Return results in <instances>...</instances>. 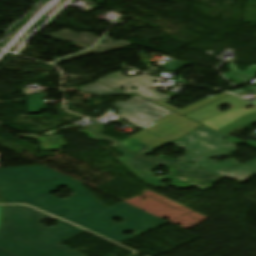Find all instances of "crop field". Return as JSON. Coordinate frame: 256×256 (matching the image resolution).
<instances>
[{
	"instance_id": "1",
	"label": "crop field",
	"mask_w": 256,
	"mask_h": 256,
	"mask_svg": "<svg viewBox=\"0 0 256 256\" xmlns=\"http://www.w3.org/2000/svg\"><path fill=\"white\" fill-rule=\"evenodd\" d=\"M59 186H65L75 194L66 200L48 194ZM0 192L4 203L31 204L117 242L151 229L107 209V206L82 187V183L67 177L2 186ZM115 217L123 222H112L111 219ZM126 231H131V235L125 237L121 234Z\"/></svg>"
},
{
	"instance_id": "2",
	"label": "crop field",
	"mask_w": 256,
	"mask_h": 256,
	"mask_svg": "<svg viewBox=\"0 0 256 256\" xmlns=\"http://www.w3.org/2000/svg\"><path fill=\"white\" fill-rule=\"evenodd\" d=\"M45 219L58 224L48 228ZM85 232L28 206H5L0 248L17 256H86L59 244Z\"/></svg>"
},
{
	"instance_id": "3",
	"label": "crop field",
	"mask_w": 256,
	"mask_h": 256,
	"mask_svg": "<svg viewBox=\"0 0 256 256\" xmlns=\"http://www.w3.org/2000/svg\"><path fill=\"white\" fill-rule=\"evenodd\" d=\"M225 136L207 127H203L191 134L174 142L180 149L187 154L180 160L195 161L194 165L202 167L214 174L231 168L239 162L231 159L223 164H218L210 160L211 157L228 156L235 152V145L222 140ZM256 174V161L232 168L219 176L245 181Z\"/></svg>"
},
{
	"instance_id": "4",
	"label": "crop field",
	"mask_w": 256,
	"mask_h": 256,
	"mask_svg": "<svg viewBox=\"0 0 256 256\" xmlns=\"http://www.w3.org/2000/svg\"><path fill=\"white\" fill-rule=\"evenodd\" d=\"M112 148L116 149V152L123 155L121 157H118L119 160H121L128 168H130L137 176L143 179L146 183L154 185L155 188L165 186L160 183L162 180H171L170 185L175 188L186 189L191 186H194L203 191L211 187L213 183L221 179L202 169L188 172L158 158L143 157L140 155H136L117 145L113 146ZM158 165L167 168L170 174L155 177L151 171ZM181 177H186L188 178V180L184 182L180 180ZM192 182L197 183V185H192Z\"/></svg>"
},
{
	"instance_id": "5",
	"label": "crop field",
	"mask_w": 256,
	"mask_h": 256,
	"mask_svg": "<svg viewBox=\"0 0 256 256\" xmlns=\"http://www.w3.org/2000/svg\"><path fill=\"white\" fill-rule=\"evenodd\" d=\"M226 103L232 105L233 109L223 113L219 112L217 107ZM250 105L247 102L229 96L186 116L229 136L231 130L238 126L256 123V107L249 110L245 109Z\"/></svg>"
},
{
	"instance_id": "6",
	"label": "crop field",
	"mask_w": 256,
	"mask_h": 256,
	"mask_svg": "<svg viewBox=\"0 0 256 256\" xmlns=\"http://www.w3.org/2000/svg\"><path fill=\"white\" fill-rule=\"evenodd\" d=\"M116 106L124 109L120 116L143 129L172 113L138 97L127 102L118 101Z\"/></svg>"
},
{
	"instance_id": "7",
	"label": "crop field",
	"mask_w": 256,
	"mask_h": 256,
	"mask_svg": "<svg viewBox=\"0 0 256 256\" xmlns=\"http://www.w3.org/2000/svg\"><path fill=\"white\" fill-rule=\"evenodd\" d=\"M98 81H100V82H102V83H104V84L124 93V94L135 93V94H137L143 98H146L152 102L160 100V101H163L168 104L169 102H167V101L169 99H171V97H169V96H166L160 92H157L155 90H152V89L146 87L150 84H153L154 80L151 78H148L144 75L128 78V77L122 76L121 72H117V73H112L110 75H107ZM121 86L128 87V89L125 92L117 89ZM132 86H136L138 89L134 91L131 89Z\"/></svg>"
},
{
	"instance_id": "8",
	"label": "crop field",
	"mask_w": 256,
	"mask_h": 256,
	"mask_svg": "<svg viewBox=\"0 0 256 256\" xmlns=\"http://www.w3.org/2000/svg\"><path fill=\"white\" fill-rule=\"evenodd\" d=\"M200 126L202 125L173 113L144 130L174 141Z\"/></svg>"
},
{
	"instance_id": "9",
	"label": "crop field",
	"mask_w": 256,
	"mask_h": 256,
	"mask_svg": "<svg viewBox=\"0 0 256 256\" xmlns=\"http://www.w3.org/2000/svg\"><path fill=\"white\" fill-rule=\"evenodd\" d=\"M62 176L64 175L45 166H25L0 169V186Z\"/></svg>"
},
{
	"instance_id": "10",
	"label": "crop field",
	"mask_w": 256,
	"mask_h": 256,
	"mask_svg": "<svg viewBox=\"0 0 256 256\" xmlns=\"http://www.w3.org/2000/svg\"><path fill=\"white\" fill-rule=\"evenodd\" d=\"M117 213H120L130 219H133L137 222H140L144 225H147L151 228H154L156 226L162 225L164 223H167L155 216H152L140 209H137L125 202H122L118 205H115L111 208H109Z\"/></svg>"
},
{
	"instance_id": "11",
	"label": "crop field",
	"mask_w": 256,
	"mask_h": 256,
	"mask_svg": "<svg viewBox=\"0 0 256 256\" xmlns=\"http://www.w3.org/2000/svg\"><path fill=\"white\" fill-rule=\"evenodd\" d=\"M104 128H105V127H104L103 124L98 123V124H96L95 126L89 128V129H87V130H88V131H91V132H94V133H96V134L102 135V134H100V133L103 132ZM78 132L83 133V134H86V135H88L91 139L96 140V141H99V140H106V141H109V140H107V139H104V138L99 137V136H97V135H94V134H92V133H89V132H87V131H85V130H83V129L79 130ZM102 136L107 137V136H105V135H102ZM107 138H110V137H107ZM110 139H112V138H110ZM112 140H115V139H112ZM115 141H117V140H115ZM110 142H112V141H110ZM117 142H119V144H118L119 146H121V147H123V148H126V149H129V150H131V151L137 152V153H139V154H141V155H145V154H147V153H149V152H151V151H153V150H156V149H154V148H152V147H149V146H147V145H145V144H142V143H140V142H138V141H135V140H133V139H131V138H128V139H126V140H124V141H122V142H120V141H117ZM117 142H116V143H117ZM112 143H114V142H112ZM116 143H114V144H116Z\"/></svg>"
},
{
	"instance_id": "12",
	"label": "crop field",
	"mask_w": 256,
	"mask_h": 256,
	"mask_svg": "<svg viewBox=\"0 0 256 256\" xmlns=\"http://www.w3.org/2000/svg\"><path fill=\"white\" fill-rule=\"evenodd\" d=\"M47 37L74 41V42H78V43H82L90 46H93L100 39L88 32L77 34L69 29H66L51 35H47Z\"/></svg>"
},
{
	"instance_id": "13",
	"label": "crop field",
	"mask_w": 256,
	"mask_h": 256,
	"mask_svg": "<svg viewBox=\"0 0 256 256\" xmlns=\"http://www.w3.org/2000/svg\"><path fill=\"white\" fill-rule=\"evenodd\" d=\"M229 68L232 71L225 74V76L239 83H243L256 75V65L248 67L244 72L238 70L236 64H229Z\"/></svg>"
},
{
	"instance_id": "14",
	"label": "crop field",
	"mask_w": 256,
	"mask_h": 256,
	"mask_svg": "<svg viewBox=\"0 0 256 256\" xmlns=\"http://www.w3.org/2000/svg\"><path fill=\"white\" fill-rule=\"evenodd\" d=\"M131 138H133L135 140H138L142 143H145L149 146H152L156 149L170 143V142H168V141H166V140H164V139H162V138H160L156 135H153L149 132H146L144 130H142V131L136 133L135 135L131 136Z\"/></svg>"
},
{
	"instance_id": "15",
	"label": "crop field",
	"mask_w": 256,
	"mask_h": 256,
	"mask_svg": "<svg viewBox=\"0 0 256 256\" xmlns=\"http://www.w3.org/2000/svg\"><path fill=\"white\" fill-rule=\"evenodd\" d=\"M227 95H229V94L224 93V94H222V95H220V96H218V97L211 96V97H208V98H206V99H204V100H202V101H200V102H198V103H196V104H193V105H191V106H188V107H186V108H183V109H181V110H178V109H176V108H174V107H171V106H169V105H166V104H164V103H162V102H160V101H157V102H155V103H157V104H159V105H161V106H164V107H166V108H168V109H170V110H172V111H175V112H177V113H179V114H181V115H184V114H186V113H188V112H190V111H193V110H195V109H197V108H200V107H202V106H204V105H206V104H209V103H211V102H213V101H216V100H218V99H220V98H222V97H225V96H227Z\"/></svg>"
},
{
	"instance_id": "16",
	"label": "crop field",
	"mask_w": 256,
	"mask_h": 256,
	"mask_svg": "<svg viewBox=\"0 0 256 256\" xmlns=\"http://www.w3.org/2000/svg\"><path fill=\"white\" fill-rule=\"evenodd\" d=\"M17 137L36 138L39 140L42 148H44L46 150H57V149L65 146L64 141L62 139H59L61 136H55V137L17 136Z\"/></svg>"
},
{
	"instance_id": "17",
	"label": "crop field",
	"mask_w": 256,
	"mask_h": 256,
	"mask_svg": "<svg viewBox=\"0 0 256 256\" xmlns=\"http://www.w3.org/2000/svg\"><path fill=\"white\" fill-rule=\"evenodd\" d=\"M44 97H46L45 93L26 99L29 113H37L45 109V103L42 102Z\"/></svg>"
},
{
	"instance_id": "18",
	"label": "crop field",
	"mask_w": 256,
	"mask_h": 256,
	"mask_svg": "<svg viewBox=\"0 0 256 256\" xmlns=\"http://www.w3.org/2000/svg\"><path fill=\"white\" fill-rule=\"evenodd\" d=\"M82 90L87 92L96 93L97 95H120V93L109 89L99 83L91 84L89 86H86L82 88Z\"/></svg>"
},
{
	"instance_id": "19",
	"label": "crop field",
	"mask_w": 256,
	"mask_h": 256,
	"mask_svg": "<svg viewBox=\"0 0 256 256\" xmlns=\"http://www.w3.org/2000/svg\"><path fill=\"white\" fill-rule=\"evenodd\" d=\"M104 39H106L110 43L105 44V45H99L97 47L104 48V49L115 50V49H119V48H122V47L130 45V43L125 41V40L114 41V40H112L111 38H109L107 36Z\"/></svg>"
},
{
	"instance_id": "20",
	"label": "crop field",
	"mask_w": 256,
	"mask_h": 256,
	"mask_svg": "<svg viewBox=\"0 0 256 256\" xmlns=\"http://www.w3.org/2000/svg\"><path fill=\"white\" fill-rule=\"evenodd\" d=\"M158 157H159V158H162V159H164V160L170 161V162H172V163H175V164H177V165H179V166H181V167H183V168H185V169H187V170L196 169L195 166L186 164L184 161H180V160H178V159H173V158H170V157H167V156H163V155H160V156H158Z\"/></svg>"
},
{
	"instance_id": "21",
	"label": "crop field",
	"mask_w": 256,
	"mask_h": 256,
	"mask_svg": "<svg viewBox=\"0 0 256 256\" xmlns=\"http://www.w3.org/2000/svg\"><path fill=\"white\" fill-rule=\"evenodd\" d=\"M107 51H109V50H103V49L94 48V49H92V50H90V51H87V52H84V53H80V54L71 56V57H69V58L63 59V60H64V61H67V60L74 59V58H77V57H80V56H83V55H86V54H90V53H93V52L102 54V53H105V52H107Z\"/></svg>"
},
{
	"instance_id": "22",
	"label": "crop field",
	"mask_w": 256,
	"mask_h": 256,
	"mask_svg": "<svg viewBox=\"0 0 256 256\" xmlns=\"http://www.w3.org/2000/svg\"><path fill=\"white\" fill-rule=\"evenodd\" d=\"M227 138H228L227 141L232 142V143H234V144H237V143L241 142V143H243V144H245V145H247V146H250V147H253V148L256 149V142H254V141L243 142V141H241V140H239V139H236V138H234V137H232V136H229V137H227Z\"/></svg>"
},
{
	"instance_id": "23",
	"label": "crop field",
	"mask_w": 256,
	"mask_h": 256,
	"mask_svg": "<svg viewBox=\"0 0 256 256\" xmlns=\"http://www.w3.org/2000/svg\"><path fill=\"white\" fill-rule=\"evenodd\" d=\"M0 256H14V255L0 249Z\"/></svg>"
},
{
	"instance_id": "24",
	"label": "crop field",
	"mask_w": 256,
	"mask_h": 256,
	"mask_svg": "<svg viewBox=\"0 0 256 256\" xmlns=\"http://www.w3.org/2000/svg\"><path fill=\"white\" fill-rule=\"evenodd\" d=\"M73 46H74V47H78V48H83V49L89 48V46L78 45V44H75V45H73Z\"/></svg>"
},
{
	"instance_id": "25",
	"label": "crop field",
	"mask_w": 256,
	"mask_h": 256,
	"mask_svg": "<svg viewBox=\"0 0 256 256\" xmlns=\"http://www.w3.org/2000/svg\"><path fill=\"white\" fill-rule=\"evenodd\" d=\"M247 90H254L256 92V87H253V88H249Z\"/></svg>"
},
{
	"instance_id": "26",
	"label": "crop field",
	"mask_w": 256,
	"mask_h": 256,
	"mask_svg": "<svg viewBox=\"0 0 256 256\" xmlns=\"http://www.w3.org/2000/svg\"><path fill=\"white\" fill-rule=\"evenodd\" d=\"M133 256H137V254L136 253H134V255Z\"/></svg>"
},
{
	"instance_id": "27",
	"label": "crop field",
	"mask_w": 256,
	"mask_h": 256,
	"mask_svg": "<svg viewBox=\"0 0 256 256\" xmlns=\"http://www.w3.org/2000/svg\"><path fill=\"white\" fill-rule=\"evenodd\" d=\"M0 210H1V206H0Z\"/></svg>"
},
{
	"instance_id": "28",
	"label": "crop field",
	"mask_w": 256,
	"mask_h": 256,
	"mask_svg": "<svg viewBox=\"0 0 256 256\" xmlns=\"http://www.w3.org/2000/svg\"><path fill=\"white\" fill-rule=\"evenodd\" d=\"M1 203V202H0Z\"/></svg>"
}]
</instances>
